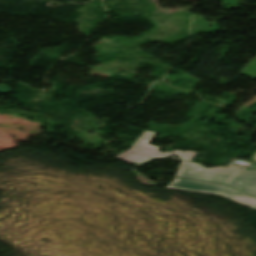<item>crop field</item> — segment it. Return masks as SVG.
Wrapping results in <instances>:
<instances>
[{
  "instance_id": "obj_4",
  "label": "crop field",
  "mask_w": 256,
  "mask_h": 256,
  "mask_svg": "<svg viewBox=\"0 0 256 256\" xmlns=\"http://www.w3.org/2000/svg\"><path fill=\"white\" fill-rule=\"evenodd\" d=\"M251 159L256 162V152L251 156ZM253 167L256 168V164Z\"/></svg>"
},
{
  "instance_id": "obj_3",
  "label": "crop field",
  "mask_w": 256,
  "mask_h": 256,
  "mask_svg": "<svg viewBox=\"0 0 256 256\" xmlns=\"http://www.w3.org/2000/svg\"><path fill=\"white\" fill-rule=\"evenodd\" d=\"M166 188L221 195L256 210V198L227 185L175 178Z\"/></svg>"
},
{
  "instance_id": "obj_2",
  "label": "crop field",
  "mask_w": 256,
  "mask_h": 256,
  "mask_svg": "<svg viewBox=\"0 0 256 256\" xmlns=\"http://www.w3.org/2000/svg\"><path fill=\"white\" fill-rule=\"evenodd\" d=\"M155 134V132L145 131L129 150L114 158L140 166L152 159L169 158L172 155L179 157L178 159L181 160L192 161L196 155V152L192 151L181 152L173 150V152H159L158 147L148 144Z\"/></svg>"
},
{
  "instance_id": "obj_1",
  "label": "crop field",
  "mask_w": 256,
  "mask_h": 256,
  "mask_svg": "<svg viewBox=\"0 0 256 256\" xmlns=\"http://www.w3.org/2000/svg\"><path fill=\"white\" fill-rule=\"evenodd\" d=\"M175 177L227 184L256 197V171L237 167L206 168L201 165L182 162Z\"/></svg>"
}]
</instances>
